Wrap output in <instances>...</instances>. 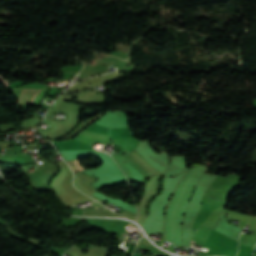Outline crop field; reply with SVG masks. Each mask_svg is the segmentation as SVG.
I'll list each match as a JSON object with an SVG mask.
<instances>
[{
  "mask_svg": "<svg viewBox=\"0 0 256 256\" xmlns=\"http://www.w3.org/2000/svg\"><path fill=\"white\" fill-rule=\"evenodd\" d=\"M76 164L78 165V167L80 168V170H83L82 166L78 163L77 160H75ZM69 164V166L74 170V172H78L80 171L79 168L77 167V165L75 163H72L71 161L67 162Z\"/></svg>",
  "mask_w": 256,
  "mask_h": 256,
  "instance_id": "2",
  "label": "crop field"
},
{
  "mask_svg": "<svg viewBox=\"0 0 256 256\" xmlns=\"http://www.w3.org/2000/svg\"><path fill=\"white\" fill-rule=\"evenodd\" d=\"M35 96V95H34ZM34 98V97H33Z\"/></svg>",
  "mask_w": 256,
  "mask_h": 256,
  "instance_id": "3",
  "label": "crop field"
},
{
  "mask_svg": "<svg viewBox=\"0 0 256 256\" xmlns=\"http://www.w3.org/2000/svg\"><path fill=\"white\" fill-rule=\"evenodd\" d=\"M34 92L35 90L24 89L19 97V103L28 105L29 99Z\"/></svg>",
  "mask_w": 256,
  "mask_h": 256,
  "instance_id": "1",
  "label": "crop field"
}]
</instances>
